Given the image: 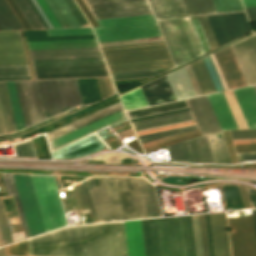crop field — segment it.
<instances>
[{
  "mask_svg": "<svg viewBox=\"0 0 256 256\" xmlns=\"http://www.w3.org/2000/svg\"><path fill=\"white\" fill-rule=\"evenodd\" d=\"M28 244L30 256H127L123 222L71 226Z\"/></svg>",
  "mask_w": 256,
  "mask_h": 256,
  "instance_id": "obj_1",
  "label": "crop field"
},
{
  "mask_svg": "<svg viewBox=\"0 0 256 256\" xmlns=\"http://www.w3.org/2000/svg\"><path fill=\"white\" fill-rule=\"evenodd\" d=\"M97 221L162 216L153 186L143 178L86 179Z\"/></svg>",
  "mask_w": 256,
  "mask_h": 256,
  "instance_id": "obj_2",
  "label": "crop field"
},
{
  "mask_svg": "<svg viewBox=\"0 0 256 256\" xmlns=\"http://www.w3.org/2000/svg\"><path fill=\"white\" fill-rule=\"evenodd\" d=\"M145 256H196L191 216L141 220Z\"/></svg>",
  "mask_w": 256,
  "mask_h": 256,
  "instance_id": "obj_3",
  "label": "crop field"
},
{
  "mask_svg": "<svg viewBox=\"0 0 256 256\" xmlns=\"http://www.w3.org/2000/svg\"><path fill=\"white\" fill-rule=\"evenodd\" d=\"M110 73L173 66L163 42L101 48Z\"/></svg>",
  "mask_w": 256,
  "mask_h": 256,
  "instance_id": "obj_4",
  "label": "crop field"
},
{
  "mask_svg": "<svg viewBox=\"0 0 256 256\" xmlns=\"http://www.w3.org/2000/svg\"><path fill=\"white\" fill-rule=\"evenodd\" d=\"M98 42L161 36L153 14L97 20Z\"/></svg>",
  "mask_w": 256,
  "mask_h": 256,
  "instance_id": "obj_5",
  "label": "crop field"
},
{
  "mask_svg": "<svg viewBox=\"0 0 256 256\" xmlns=\"http://www.w3.org/2000/svg\"><path fill=\"white\" fill-rule=\"evenodd\" d=\"M45 231L65 226V219L52 176L29 175Z\"/></svg>",
  "mask_w": 256,
  "mask_h": 256,
  "instance_id": "obj_6",
  "label": "crop field"
},
{
  "mask_svg": "<svg viewBox=\"0 0 256 256\" xmlns=\"http://www.w3.org/2000/svg\"><path fill=\"white\" fill-rule=\"evenodd\" d=\"M48 119L82 105L76 79L39 81Z\"/></svg>",
  "mask_w": 256,
  "mask_h": 256,
  "instance_id": "obj_7",
  "label": "crop field"
},
{
  "mask_svg": "<svg viewBox=\"0 0 256 256\" xmlns=\"http://www.w3.org/2000/svg\"><path fill=\"white\" fill-rule=\"evenodd\" d=\"M207 19L219 47L251 32L244 12L210 15Z\"/></svg>",
  "mask_w": 256,
  "mask_h": 256,
  "instance_id": "obj_8",
  "label": "crop field"
},
{
  "mask_svg": "<svg viewBox=\"0 0 256 256\" xmlns=\"http://www.w3.org/2000/svg\"><path fill=\"white\" fill-rule=\"evenodd\" d=\"M232 256H256L251 216L227 218Z\"/></svg>",
  "mask_w": 256,
  "mask_h": 256,
  "instance_id": "obj_9",
  "label": "crop field"
},
{
  "mask_svg": "<svg viewBox=\"0 0 256 256\" xmlns=\"http://www.w3.org/2000/svg\"><path fill=\"white\" fill-rule=\"evenodd\" d=\"M89 10L144 5L147 0H83ZM95 19L153 13L149 5L90 11Z\"/></svg>",
  "mask_w": 256,
  "mask_h": 256,
  "instance_id": "obj_10",
  "label": "crop field"
},
{
  "mask_svg": "<svg viewBox=\"0 0 256 256\" xmlns=\"http://www.w3.org/2000/svg\"><path fill=\"white\" fill-rule=\"evenodd\" d=\"M12 175L30 232V236L32 237L44 233V227L41 221L29 176L24 174Z\"/></svg>",
  "mask_w": 256,
  "mask_h": 256,
  "instance_id": "obj_11",
  "label": "crop field"
},
{
  "mask_svg": "<svg viewBox=\"0 0 256 256\" xmlns=\"http://www.w3.org/2000/svg\"><path fill=\"white\" fill-rule=\"evenodd\" d=\"M167 149L172 161L214 163L205 135L168 146Z\"/></svg>",
  "mask_w": 256,
  "mask_h": 256,
  "instance_id": "obj_12",
  "label": "crop field"
},
{
  "mask_svg": "<svg viewBox=\"0 0 256 256\" xmlns=\"http://www.w3.org/2000/svg\"><path fill=\"white\" fill-rule=\"evenodd\" d=\"M248 86L256 84V38L251 35L230 46Z\"/></svg>",
  "mask_w": 256,
  "mask_h": 256,
  "instance_id": "obj_13",
  "label": "crop field"
},
{
  "mask_svg": "<svg viewBox=\"0 0 256 256\" xmlns=\"http://www.w3.org/2000/svg\"><path fill=\"white\" fill-rule=\"evenodd\" d=\"M27 65L19 31L0 32V66Z\"/></svg>",
  "mask_w": 256,
  "mask_h": 256,
  "instance_id": "obj_14",
  "label": "crop field"
},
{
  "mask_svg": "<svg viewBox=\"0 0 256 256\" xmlns=\"http://www.w3.org/2000/svg\"><path fill=\"white\" fill-rule=\"evenodd\" d=\"M62 28L90 26L74 0H45Z\"/></svg>",
  "mask_w": 256,
  "mask_h": 256,
  "instance_id": "obj_15",
  "label": "crop field"
},
{
  "mask_svg": "<svg viewBox=\"0 0 256 256\" xmlns=\"http://www.w3.org/2000/svg\"><path fill=\"white\" fill-rule=\"evenodd\" d=\"M213 55L229 89L247 86L229 46Z\"/></svg>",
  "mask_w": 256,
  "mask_h": 256,
  "instance_id": "obj_16",
  "label": "crop field"
},
{
  "mask_svg": "<svg viewBox=\"0 0 256 256\" xmlns=\"http://www.w3.org/2000/svg\"><path fill=\"white\" fill-rule=\"evenodd\" d=\"M32 60L102 57L99 47L29 50Z\"/></svg>",
  "mask_w": 256,
  "mask_h": 256,
  "instance_id": "obj_17",
  "label": "crop field"
},
{
  "mask_svg": "<svg viewBox=\"0 0 256 256\" xmlns=\"http://www.w3.org/2000/svg\"><path fill=\"white\" fill-rule=\"evenodd\" d=\"M125 117L126 116H125L124 110L122 109L118 112H115V113L109 115V116H106L102 119H99L95 122H92V123L86 125V126H83L79 129H76L72 132H69L65 135H62V136H60L56 139H53V140L49 141L48 143H49L50 149L52 150L56 147H59V146L65 144V143H68L72 140H75L79 137H82L86 134H89V133H91L95 130H98V129H100L102 127H105L109 124H112V123H114L118 120H121V119L125 118Z\"/></svg>",
  "mask_w": 256,
  "mask_h": 256,
  "instance_id": "obj_18",
  "label": "crop field"
},
{
  "mask_svg": "<svg viewBox=\"0 0 256 256\" xmlns=\"http://www.w3.org/2000/svg\"><path fill=\"white\" fill-rule=\"evenodd\" d=\"M215 256H230L225 213L209 214Z\"/></svg>",
  "mask_w": 256,
  "mask_h": 256,
  "instance_id": "obj_19",
  "label": "crop field"
},
{
  "mask_svg": "<svg viewBox=\"0 0 256 256\" xmlns=\"http://www.w3.org/2000/svg\"><path fill=\"white\" fill-rule=\"evenodd\" d=\"M249 129L256 128V93L252 86L232 90Z\"/></svg>",
  "mask_w": 256,
  "mask_h": 256,
  "instance_id": "obj_20",
  "label": "crop field"
},
{
  "mask_svg": "<svg viewBox=\"0 0 256 256\" xmlns=\"http://www.w3.org/2000/svg\"><path fill=\"white\" fill-rule=\"evenodd\" d=\"M221 130L238 129L222 92L207 95Z\"/></svg>",
  "mask_w": 256,
  "mask_h": 256,
  "instance_id": "obj_21",
  "label": "crop field"
},
{
  "mask_svg": "<svg viewBox=\"0 0 256 256\" xmlns=\"http://www.w3.org/2000/svg\"><path fill=\"white\" fill-rule=\"evenodd\" d=\"M122 108L123 107H122L121 103L119 102V103H117L115 105H112V106H110L108 108H105V109H103L101 111H98V112H96L94 114H91V115H89L87 117L79 119V120H77L75 122H72V123H70L68 125H65V126H63L61 128H58V129H56L54 131H51V132L47 133L46 134L47 140L49 141V140H51L53 138H56V137H58V136H60L62 134H65V133H67L69 131H72V130H74L76 128H79V127H81V126H83L85 124H88V123H90L92 121H95V120H97L99 118H102V117H104L106 115H109V114H111V113H113L115 111H118V110L122 109Z\"/></svg>",
  "mask_w": 256,
  "mask_h": 256,
  "instance_id": "obj_22",
  "label": "crop field"
},
{
  "mask_svg": "<svg viewBox=\"0 0 256 256\" xmlns=\"http://www.w3.org/2000/svg\"><path fill=\"white\" fill-rule=\"evenodd\" d=\"M128 256H144L140 220L124 222Z\"/></svg>",
  "mask_w": 256,
  "mask_h": 256,
  "instance_id": "obj_23",
  "label": "crop field"
},
{
  "mask_svg": "<svg viewBox=\"0 0 256 256\" xmlns=\"http://www.w3.org/2000/svg\"><path fill=\"white\" fill-rule=\"evenodd\" d=\"M0 124L3 134L17 131L5 82H0Z\"/></svg>",
  "mask_w": 256,
  "mask_h": 256,
  "instance_id": "obj_24",
  "label": "crop field"
},
{
  "mask_svg": "<svg viewBox=\"0 0 256 256\" xmlns=\"http://www.w3.org/2000/svg\"><path fill=\"white\" fill-rule=\"evenodd\" d=\"M215 163L230 164V158L226 148L223 133L206 135Z\"/></svg>",
  "mask_w": 256,
  "mask_h": 256,
  "instance_id": "obj_25",
  "label": "crop field"
},
{
  "mask_svg": "<svg viewBox=\"0 0 256 256\" xmlns=\"http://www.w3.org/2000/svg\"><path fill=\"white\" fill-rule=\"evenodd\" d=\"M29 49L98 46L95 39L27 42Z\"/></svg>",
  "mask_w": 256,
  "mask_h": 256,
  "instance_id": "obj_26",
  "label": "crop field"
},
{
  "mask_svg": "<svg viewBox=\"0 0 256 256\" xmlns=\"http://www.w3.org/2000/svg\"><path fill=\"white\" fill-rule=\"evenodd\" d=\"M203 95L216 92L203 60L190 65Z\"/></svg>",
  "mask_w": 256,
  "mask_h": 256,
  "instance_id": "obj_27",
  "label": "crop field"
},
{
  "mask_svg": "<svg viewBox=\"0 0 256 256\" xmlns=\"http://www.w3.org/2000/svg\"><path fill=\"white\" fill-rule=\"evenodd\" d=\"M201 135L199 130H193V131H189V132H185V133H181V134H177V135H173V136H169L166 138H162V139H158V140H154V141H150V142H146V143H142V147L144 149L145 152L165 146V145H169L178 141H182L185 139H189L195 136H199Z\"/></svg>",
  "mask_w": 256,
  "mask_h": 256,
  "instance_id": "obj_28",
  "label": "crop field"
},
{
  "mask_svg": "<svg viewBox=\"0 0 256 256\" xmlns=\"http://www.w3.org/2000/svg\"><path fill=\"white\" fill-rule=\"evenodd\" d=\"M72 187L75 194L78 209H90L93 221L97 222L86 183L74 185Z\"/></svg>",
  "mask_w": 256,
  "mask_h": 256,
  "instance_id": "obj_29",
  "label": "crop field"
},
{
  "mask_svg": "<svg viewBox=\"0 0 256 256\" xmlns=\"http://www.w3.org/2000/svg\"><path fill=\"white\" fill-rule=\"evenodd\" d=\"M228 210L243 209L237 185H220Z\"/></svg>",
  "mask_w": 256,
  "mask_h": 256,
  "instance_id": "obj_30",
  "label": "crop field"
},
{
  "mask_svg": "<svg viewBox=\"0 0 256 256\" xmlns=\"http://www.w3.org/2000/svg\"><path fill=\"white\" fill-rule=\"evenodd\" d=\"M125 110L148 106L141 88H137L120 96Z\"/></svg>",
  "mask_w": 256,
  "mask_h": 256,
  "instance_id": "obj_31",
  "label": "crop field"
},
{
  "mask_svg": "<svg viewBox=\"0 0 256 256\" xmlns=\"http://www.w3.org/2000/svg\"><path fill=\"white\" fill-rule=\"evenodd\" d=\"M203 60L208 69V72L210 74V77L212 79V82L215 86L216 91L219 92V91L227 90L228 88L224 82V79L220 73V70L216 64V61H215L213 55L211 54V55L203 58Z\"/></svg>",
  "mask_w": 256,
  "mask_h": 256,
  "instance_id": "obj_32",
  "label": "crop field"
},
{
  "mask_svg": "<svg viewBox=\"0 0 256 256\" xmlns=\"http://www.w3.org/2000/svg\"><path fill=\"white\" fill-rule=\"evenodd\" d=\"M190 16L216 13L211 0H184Z\"/></svg>",
  "mask_w": 256,
  "mask_h": 256,
  "instance_id": "obj_33",
  "label": "crop field"
},
{
  "mask_svg": "<svg viewBox=\"0 0 256 256\" xmlns=\"http://www.w3.org/2000/svg\"><path fill=\"white\" fill-rule=\"evenodd\" d=\"M105 63L103 58L32 61L33 66Z\"/></svg>",
  "mask_w": 256,
  "mask_h": 256,
  "instance_id": "obj_34",
  "label": "crop field"
},
{
  "mask_svg": "<svg viewBox=\"0 0 256 256\" xmlns=\"http://www.w3.org/2000/svg\"><path fill=\"white\" fill-rule=\"evenodd\" d=\"M6 84H7L11 104H12V109H13L17 129L19 131V130L24 129L25 127H24V123H23V119H22V115H21V111H20V107H19L15 87H14V83L13 82H6Z\"/></svg>",
  "mask_w": 256,
  "mask_h": 256,
  "instance_id": "obj_35",
  "label": "crop field"
},
{
  "mask_svg": "<svg viewBox=\"0 0 256 256\" xmlns=\"http://www.w3.org/2000/svg\"><path fill=\"white\" fill-rule=\"evenodd\" d=\"M2 175H3L4 183H5V186H6L7 194L8 195H14V197H15L16 204H17V207H18V210H19V214H20V217H21V220H22V224H23V227H24V230H25L26 237L29 238L30 237L29 232H28L26 222H25V219H24V216H23V212H22V209H21V206H20V202H19V199H18V195H17L16 189H15L13 179H12V175L11 174H2Z\"/></svg>",
  "mask_w": 256,
  "mask_h": 256,
  "instance_id": "obj_36",
  "label": "crop field"
},
{
  "mask_svg": "<svg viewBox=\"0 0 256 256\" xmlns=\"http://www.w3.org/2000/svg\"><path fill=\"white\" fill-rule=\"evenodd\" d=\"M0 14L2 15L10 30L23 29L5 0H0Z\"/></svg>",
  "mask_w": 256,
  "mask_h": 256,
  "instance_id": "obj_37",
  "label": "crop field"
},
{
  "mask_svg": "<svg viewBox=\"0 0 256 256\" xmlns=\"http://www.w3.org/2000/svg\"><path fill=\"white\" fill-rule=\"evenodd\" d=\"M15 2L22 11L27 21L29 22L32 29L43 28L40 21L38 20V18L36 17V15L32 11L31 7L29 6L26 0H15Z\"/></svg>",
  "mask_w": 256,
  "mask_h": 256,
  "instance_id": "obj_38",
  "label": "crop field"
},
{
  "mask_svg": "<svg viewBox=\"0 0 256 256\" xmlns=\"http://www.w3.org/2000/svg\"><path fill=\"white\" fill-rule=\"evenodd\" d=\"M217 13L243 10L239 0H212Z\"/></svg>",
  "mask_w": 256,
  "mask_h": 256,
  "instance_id": "obj_39",
  "label": "crop field"
},
{
  "mask_svg": "<svg viewBox=\"0 0 256 256\" xmlns=\"http://www.w3.org/2000/svg\"><path fill=\"white\" fill-rule=\"evenodd\" d=\"M197 17L199 19L200 25L202 27V30L204 32V35L206 37V40H207L210 50L212 51V50L218 48L216 41L214 39V36L209 27V24L207 22V19H206L207 16L206 17L205 16H197Z\"/></svg>",
  "mask_w": 256,
  "mask_h": 256,
  "instance_id": "obj_40",
  "label": "crop field"
},
{
  "mask_svg": "<svg viewBox=\"0 0 256 256\" xmlns=\"http://www.w3.org/2000/svg\"><path fill=\"white\" fill-rule=\"evenodd\" d=\"M48 36L93 34L91 28L46 30Z\"/></svg>",
  "mask_w": 256,
  "mask_h": 256,
  "instance_id": "obj_41",
  "label": "crop field"
},
{
  "mask_svg": "<svg viewBox=\"0 0 256 256\" xmlns=\"http://www.w3.org/2000/svg\"><path fill=\"white\" fill-rule=\"evenodd\" d=\"M14 147L17 157L36 158L31 140L14 145Z\"/></svg>",
  "mask_w": 256,
  "mask_h": 256,
  "instance_id": "obj_42",
  "label": "crop field"
},
{
  "mask_svg": "<svg viewBox=\"0 0 256 256\" xmlns=\"http://www.w3.org/2000/svg\"><path fill=\"white\" fill-rule=\"evenodd\" d=\"M7 255H26L29 256L27 240L18 242L14 245L6 246Z\"/></svg>",
  "mask_w": 256,
  "mask_h": 256,
  "instance_id": "obj_43",
  "label": "crop field"
},
{
  "mask_svg": "<svg viewBox=\"0 0 256 256\" xmlns=\"http://www.w3.org/2000/svg\"><path fill=\"white\" fill-rule=\"evenodd\" d=\"M30 75L27 66L0 67V77Z\"/></svg>",
  "mask_w": 256,
  "mask_h": 256,
  "instance_id": "obj_44",
  "label": "crop field"
},
{
  "mask_svg": "<svg viewBox=\"0 0 256 256\" xmlns=\"http://www.w3.org/2000/svg\"><path fill=\"white\" fill-rule=\"evenodd\" d=\"M198 218H199L200 233H201V240H202V247H203V255L209 256L204 214L198 215Z\"/></svg>",
  "mask_w": 256,
  "mask_h": 256,
  "instance_id": "obj_45",
  "label": "crop field"
},
{
  "mask_svg": "<svg viewBox=\"0 0 256 256\" xmlns=\"http://www.w3.org/2000/svg\"><path fill=\"white\" fill-rule=\"evenodd\" d=\"M36 2L38 3L40 8L42 9L44 14L46 15L47 19L49 20V22L51 23L53 28H61V26L59 25L58 21L56 20V18L52 14L51 10L49 9V7L45 3V1L44 0H36Z\"/></svg>",
  "mask_w": 256,
  "mask_h": 256,
  "instance_id": "obj_46",
  "label": "crop field"
},
{
  "mask_svg": "<svg viewBox=\"0 0 256 256\" xmlns=\"http://www.w3.org/2000/svg\"><path fill=\"white\" fill-rule=\"evenodd\" d=\"M192 220H193V228H194V236H195L196 253H197V256H203L197 215L192 216Z\"/></svg>",
  "mask_w": 256,
  "mask_h": 256,
  "instance_id": "obj_47",
  "label": "crop field"
},
{
  "mask_svg": "<svg viewBox=\"0 0 256 256\" xmlns=\"http://www.w3.org/2000/svg\"><path fill=\"white\" fill-rule=\"evenodd\" d=\"M6 1L9 4V6L11 7V9L13 10V12L15 13L16 17L18 18V20L20 21L22 26L24 27V29H31L28 22L26 21V19L22 15L21 11L19 10L17 5L15 4L14 0H6Z\"/></svg>",
  "mask_w": 256,
  "mask_h": 256,
  "instance_id": "obj_48",
  "label": "crop field"
},
{
  "mask_svg": "<svg viewBox=\"0 0 256 256\" xmlns=\"http://www.w3.org/2000/svg\"><path fill=\"white\" fill-rule=\"evenodd\" d=\"M233 139L256 138V129L230 131Z\"/></svg>",
  "mask_w": 256,
  "mask_h": 256,
  "instance_id": "obj_49",
  "label": "crop field"
},
{
  "mask_svg": "<svg viewBox=\"0 0 256 256\" xmlns=\"http://www.w3.org/2000/svg\"><path fill=\"white\" fill-rule=\"evenodd\" d=\"M77 2V4L79 5V7L81 8V10L83 11L84 15L86 16V18L88 19V21L90 22L92 27L98 26V24L96 23L95 19L93 18V16L90 14V12L87 10L84 2L82 0H75Z\"/></svg>",
  "mask_w": 256,
  "mask_h": 256,
  "instance_id": "obj_50",
  "label": "crop field"
},
{
  "mask_svg": "<svg viewBox=\"0 0 256 256\" xmlns=\"http://www.w3.org/2000/svg\"><path fill=\"white\" fill-rule=\"evenodd\" d=\"M184 69H185V71H186V73H187V75H188V78H189V80H190V82H191V84H192V86H193V89H194L196 95H197V96L202 95L201 92H200V90H199V87H198V85H197V82H196V80H195V78H194V75H193V73H192V70H191L190 66L188 65V66L184 67Z\"/></svg>",
  "mask_w": 256,
  "mask_h": 256,
  "instance_id": "obj_51",
  "label": "crop field"
},
{
  "mask_svg": "<svg viewBox=\"0 0 256 256\" xmlns=\"http://www.w3.org/2000/svg\"><path fill=\"white\" fill-rule=\"evenodd\" d=\"M223 133H224V137H225L226 144H227V147H228L231 162L232 163H237L236 157H235V154H234V150H233V146H232V143H231V139H230V136H229V132L225 131Z\"/></svg>",
  "mask_w": 256,
  "mask_h": 256,
  "instance_id": "obj_52",
  "label": "crop field"
},
{
  "mask_svg": "<svg viewBox=\"0 0 256 256\" xmlns=\"http://www.w3.org/2000/svg\"><path fill=\"white\" fill-rule=\"evenodd\" d=\"M236 152L256 151V144L234 145Z\"/></svg>",
  "mask_w": 256,
  "mask_h": 256,
  "instance_id": "obj_53",
  "label": "crop field"
},
{
  "mask_svg": "<svg viewBox=\"0 0 256 256\" xmlns=\"http://www.w3.org/2000/svg\"><path fill=\"white\" fill-rule=\"evenodd\" d=\"M205 218H206L207 236H208V244H209V253H210V256H214L208 214H205Z\"/></svg>",
  "mask_w": 256,
  "mask_h": 256,
  "instance_id": "obj_54",
  "label": "crop field"
},
{
  "mask_svg": "<svg viewBox=\"0 0 256 256\" xmlns=\"http://www.w3.org/2000/svg\"><path fill=\"white\" fill-rule=\"evenodd\" d=\"M96 79H97L98 87L100 90L101 98L103 99V98L107 97L103 79L102 78H96Z\"/></svg>",
  "mask_w": 256,
  "mask_h": 256,
  "instance_id": "obj_55",
  "label": "crop field"
},
{
  "mask_svg": "<svg viewBox=\"0 0 256 256\" xmlns=\"http://www.w3.org/2000/svg\"><path fill=\"white\" fill-rule=\"evenodd\" d=\"M239 190H240V193H241V196H242L244 207L245 208H250L249 202H248V199H247V196H246L245 188L242 187V186H239Z\"/></svg>",
  "mask_w": 256,
  "mask_h": 256,
  "instance_id": "obj_56",
  "label": "crop field"
},
{
  "mask_svg": "<svg viewBox=\"0 0 256 256\" xmlns=\"http://www.w3.org/2000/svg\"><path fill=\"white\" fill-rule=\"evenodd\" d=\"M28 3L30 4V6L32 7L33 11L35 12V14L37 15V17L39 18V20L41 21L42 25L44 26V28H48V26L46 25V23L44 22V20L42 19V17L40 16L39 12L37 11V9L35 8V6L33 5V3L31 2V0H27Z\"/></svg>",
  "mask_w": 256,
  "mask_h": 256,
  "instance_id": "obj_57",
  "label": "crop field"
},
{
  "mask_svg": "<svg viewBox=\"0 0 256 256\" xmlns=\"http://www.w3.org/2000/svg\"><path fill=\"white\" fill-rule=\"evenodd\" d=\"M104 79V83H105V87H106V91H107V95H112V88H111V83H110V79L109 77L103 78Z\"/></svg>",
  "mask_w": 256,
  "mask_h": 256,
  "instance_id": "obj_58",
  "label": "crop field"
},
{
  "mask_svg": "<svg viewBox=\"0 0 256 256\" xmlns=\"http://www.w3.org/2000/svg\"><path fill=\"white\" fill-rule=\"evenodd\" d=\"M194 123H196V122L183 124V125H178V126H173V127H168V128H163V129H158V130H153V131H148V132H143V133H138L136 135L139 136V135H143V134H148V133H153V132H157V131L167 130V129L176 128V127L185 126V125H190V124H194Z\"/></svg>",
  "mask_w": 256,
  "mask_h": 256,
  "instance_id": "obj_59",
  "label": "crop field"
},
{
  "mask_svg": "<svg viewBox=\"0 0 256 256\" xmlns=\"http://www.w3.org/2000/svg\"><path fill=\"white\" fill-rule=\"evenodd\" d=\"M21 79H31L30 76H21V77H2L0 78V81L3 80H21Z\"/></svg>",
  "mask_w": 256,
  "mask_h": 256,
  "instance_id": "obj_60",
  "label": "crop field"
},
{
  "mask_svg": "<svg viewBox=\"0 0 256 256\" xmlns=\"http://www.w3.org/2000/svg\"><path fill=\"white\" fill-rule=\"evenodd\" d=\"M239 161L256 160V155L237 156Z\"/></svg>",
  "mask_w": 256,
  "mask_h": 256,
  "instance_id": "obj_61",
  "label": "crop field"
},
{
  "mask_svg": "<svg viewBox=\"0 0 256 256\" xmlns=\"http://www.w3.org/2000/svg\"><path fill=\"white\" fill-rule=\"evenodd\" d=\"M244 7L256 6V0H241Z\"/></svg>",
  "mask_w": 256,
  "mask_h": 256,
  "instance_id": "obj_62",
  "label": "crop field"
},
{
  "mask_svg": "<svg viewBox=\"0 0 256 256\" xmlns=\"http://www.w3.org/2000/svg\"><path fill=\"white\" fill-rule=\"evenodd\" d=\"M32 2L34 3V5L36 6V8L38 9V11L40 12V14L42 15L43 19L45 20V22L47 23V25L49 26V28H52V26L50 25V23L48 22V20H47L46 17L44 16L43 12H42L41 9L39 8V6H38L37 3L35 2V0H32Z\"/></svg>",
  "mask_w": 256,
  "mask_h": 256,
  "instance_id": "obj_63",
  "label": "crop field"
},
{
  "mask_svg": "<svg viewBox=\"0 0 256 256\" xmlns=\"http://www.w3.org/2000/svg\"><path fill=\"white\" fill-rule=\"evenodd\" d=\"M252 214H253L254 232H255V240H256V210H252Z\"/></svg>",
  "mask_w": 256,
  "mask_h": 256,
  "instance_id": "obj_64",
  "label": "crop field"
},
{
  "mask_svg": "<svg viewBox=\"0 0 256 256\" xmlns=\"http://www.w3.org/2000/svg\"><path fill=\"white\" fill-rule=\"evenodd\" d=\"M247 14L256 13V7L244 8Z\"/></svg>",
  "mask_w": 256,
  "mask_h": 256,
  "instance_id": "obj_65",
  "label": "crop field"
},
{
  "mask_svg": "<svg viewBox=\"0 0 256 256\" xmlns=\"http://www.w3.org/2000/svg\"><path fill=\"white\" fill-rule=\"evenodd\" d=\"M0 25L3 28V30H9V28L7 27L6 23L4 22V20L2 19L1 15H0Z\"/></svg>",
  "mask_w": 256,
  "mask_h": 256,
  "instance_id": "obj_66",
  "label": "crop field"
},
{
  "mask_svg": "<svg viewBox=\"0 0 256 256\" xmlns=\"http://www.w3.org/2000/svg\"><path fill=\"white\" fill-rule=\"evenodd\" d=\"M250 22L256 21V14L247 15Z\"/></svg>",
  "mask_w": 256,
  "mask_h": 256,
  "instance_id": "obj_67",
  "label": "crop field"
},
{
  "mask_svg": "<svg viewBox=\"0 0 256 256\" xmlns=\"http://www.w3.org/2000/svg\"><path fill=\"white\" fill-rule=\"evenodd\" d=\"M250 201H256V194H248Z\"/></svg>",
  "mask_w": 256,
  "mask_h": 256,
  "instance_id": "obj_68",
  "label": "crop field"
},
{
  "mask_svg": "<svg viewBox=\"0 0 256 256\" xmlns=\"http://www.w3.org/2000/svg\"><path fill=\"white\" fill-rule=\"evenodd\" d=\"M247 191H248V193H256V190L252 189V188H248Z\"/></svg>",
  "mask_w": 256,
  "mask_h": 256,
  "instance_id": "obj_69",
  "label": "crop field"
},
{
  "mask_svg": "<svg viewBox=\"0 0 256 256\" xmlns=\"http://www.w3.org/2000/svg\"><path fill=\"white\" fill-rule=\"evenodd\" d=\"M237 155H247V154H256V152H249V153H236Z\"/></svg>",
  "mask_w": 256,
  "mask_h": 256,
  "instance_id": "obj_70",
  "label": "crop field"
},
{
  "mask_svg": "<svg viewBox=\"0 0 256 256\" xmlns=\"http://www.w3.org/2000/svg\"><path fill=\"white\" fill-rule=\"evenodd\" d=\"M3 240H2V237H1V234H0V246H3Z\"/></svg>",
  "mask_w": 256,
  "mask_h": 256,
  "instance_id": "obj_71",
  "label": "crop field"
},
{
  "mask_svg": "<svg viewBox=\"0 0 256 256\" xmlns=\"http://www.w3.org/2000/svg\"><path fill=\"white\" fill-rule=\"evenodd\" d=\"M247 143H256V142L234 143V144H247Z\"/></svg>",
  "mask_w": 256,
  "mask_h": 256,
  "instance_id": "obj_72",
  "label": "crop field"
},
{
  "mask_svg": "<svg viewBox=\"0 0 256 256\" xmlns=\"http://www.w3.org/2000/svg\"><path fill=\"white\" fill-rule=\"evenodd\" d=\"M0 134H2V133H1V129H0Z\"/></svg>",
  "mask_w": 256,
  "mask_h": 256,
  "instance_id": "obj_73",
  "label": "crop field"
},
{
  "mask_svg": "<svg viewBox=\"0 0 256 256\" xmlns=\"http://www.w3.org/2000/svg\"><path fill=\"white\" fill-rule=\"evenodd\" d=\"M0 30H2L1 27H0Z\"/></svg>",
  "mask_w": 256,
  "mask_h": 256,
  "instance_id": "obj_74",
  "label": "crop field"
}]
</instances>
